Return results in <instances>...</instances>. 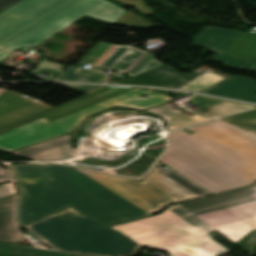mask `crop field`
I'll return each mask as SVG.
<instances>
[{
  "mask_svg": "<svg viewBox=\"0 0 256 256\" xmlns=\"http://www.w3.org/2000/svg\"><path fill=\"white\" fill-rule=\"evenodd\" d=\"M117 1L122 2L124 4L135 5V6H137L136 10H138L144 14H147V15L155 12L143 0H117Z\"/></svg>",
  "mask_w": 256,
  "mask_h": 256,
  "instance_id": "obj_22",
  "label": "crop field"
},
{
  "mask_svg": "<svg viewBox=\"0 0 256 256\" xmlns=\"http://www.w3.org/2000/svg\"><path fill=\"white\" fill-rule=\"evenodd\" d=\"M17 194L13 182L0 186V198Z\"/></svg>",
  "mask_w": 256,
  "mask_h": 256,
  "instance_id": "obj_24",
  "label": "crop field"
},
{
  "mask_svg": "<svg viewBox=\"0 0 256 256\" xmlns=\"http://www.w3.org/2000/svg\"><path fill=\"white\" fill-rule=\"evenodd\" d=\"M18 195L0 199V240L20 244L25 241L16 220Z\"/></svg>",
  "mask_w": 256,
  "mask_h": 256,
  "instance_id": "obj_14",
  "label": "crop field"
},
{
  "mask_svg": "<svg viewBox=\"0 0 256 256\" xmlns=\"http://www.w3.org/2000/svg\"><path fill=\"white\" fill-rule=\"evenodd\" d=\"M22 194L21 226L73 207L108 225L149 216L102 185L68 166H9Z\"/></svg>",
  "mask_w": 256,
  "mask_h": 256,
  "instance_id": "obj_3",
  "label": "crop field"
},
{
  "mask_svg": "<svg viewBox=\"0 0 256 256\" xmlns=\"http://www.w3.org/2000/svg\"><path fill=\"white\" fill-rule=\"evenodd\" d=\"M189 101L201 107L197 110H194V112L204 117L224 116L233 114L237 111L246 110L254 107L200 96H195L191 98Z\"/></svg>",
  "mask_w": 256,
  "mask_h": 256,
  "instance_id": "obj_16",
  "label": "crop field"
},
{
  "mask_svg": "<svg viewBox=\"0 0 256 256\" xmlns=\"http://www.w3.org/2000/svg\"><path fill=\"white\" fill-rule=\"evenodd\" d=\"M202 93L256 102V80L245 76H232Z\"/></svg>",
  "mask_w": 256,
  "mask_h": 256,
  "instance_id": "obj_13",
  "label": "crop field"
},
{
  "mask_svg": "<svg viewBox=\"0 0 256 256\" xmlns=\"http://www.w3.org/2000/svg\"><path fill=\"white\" fill-rule=\"evenodd\" d=\"M127 10L107 0H22L0 14V60L23 46L36 47L78 19L114 24Z\"/></svg>",
  "mask_w": 256,
  "mask_h": 256,
  "instance_id": "obj_4",
  "label": "crop field"
},
{
  "mask_svg": "<svg viewBox=\"0 0 256 256\" xmlns=\"http://www.w3.org/2000/svg\"><path fill=\"white\" fill-rule=\"evenodd\" d=\"M10 180V177L6 170L0 168V182Z\"/></svg>",
  "mask_w": 256,
  "mask_h": 256,
  "instance_id": "obj_26",
  "label": "crop field"
},
{
  "mask_svg": "<svg viewBox=\"0 0 256 256\" xmlns=\"http://www.w3.org/2000/svg\"><path fill=\"white\" fill-rule=\"evenodd\" d=\"M253 72H256V67H255V69L253 70Z\"/></svg>",
  "mask_w": 256,
  "mask_h": 256,
  "instance_id": "obj_27",
  "label": "crop field"
},
{
  "mask_svg": "<svg viewBox=\"0 0 256 256\" xmlns=\"http://www.w3.org/2000/svg\"><path fill=\"white\" fill-rule=\"evenodd\" d=\"M68 87L72 88L74 90L80 91L82 93L88 94V93H91L93 91L102 89V88L107 87V86L70 85Z\"/></svg>",
  "mask_w": 256,
  "mask_h": 256,
  "instance_id": "obj_23",
  "label": "crop field"
},
{
  "mask_svg": "<svg viewBox=\"0 0 256 256\" xmlns=\"http://www.w3.org/2000/svg\"><path fill=\"white\" fill-rule=\"evenodd\" d=\"M115 24L121 25V26H126V27H131V28H137V29H151V28L157 26V24H155L143 17H140L130 11H128Z\"/></svg>",
  "mask_w": 256,
  "mask_h": 256,
  "instance_id": "obj_19",
  "label": "crop field"
},
{
  "mask_svg": "<svg viewBox=\"0 0 256 256\" xmlns=\"http://www.w3.org/2000/svg\"><path fill=\"white\" fill-rule=\"evenodd\" d=\"M69 137L70 135L55 138L11 153L39 161H56L75 157V152L69 146Z\"/></svg>",
  "mask_w": 256,
  "mask_h": 256,
  "instance_id": "obj_11",
  "label": "crop field"
},
{
  "mask_svg": "<svg viewBox=\"0 0 256 256\" xmlns=\"http://www.w3.org/2000/svg\"><path fill=\"white\" fill-rule=\"evenodd\" d=\"M158 164L143 182L79 170L147 213L155 214L172 203L207 195L208 191L173 170Z\"/></svg>",
  "mask_w": 256,
  "mask_h": 256,
  "instance_id": "obj_5",
  "label": "crop field"
},
{
  "mask_svg": "<svg viewBox=\"0 0 256 256\" xmlns=\"http://www.w3.org/2000/svg\"><path fill=\"white\" fill-rule=\"evenodd\" d=\"M253 133H256V132H253Z\"/></svg>",
  "mask_w": 256,
  "mask_h": 256,
  "instance_id": "obj_29",
  "label": "crop field"
},
{
  "mask_svg": "<svg viewBox=\"0 0 256 256\" xmlns=\"http://www.w3.org/2000/svg\"><path fill=\"white\" fill-rule=\"evenodd\" d=\"M224 78L221 76H218L213 73H207L198 79L194 80L193 82L189 83L188 85L182 87L183 90H192V91H200L212 84H215Z\"/></svg>",
  "mask_w": 256,
  "mask_h": 256,
  "instance_id": "obj_21",
  "label": "crop field"
},
{
  "mask_svg": "<svg viewBox=\"0 0 256 256\" xmlns=\"http://www.w3.org/2000/svg\"><path fill=\"white\" fill-rule=\"evenodd\" d=\"M243 129L256 131V111L239 114L221 119Z\"/></svg>",
  "mask_w": 256,
  "mask_h": 256,
  "instance_id": "obj_20",
  "label": "crop field"
},
{
  "mask_svg": "<svg viewBox=\"0 0 256 256\" xmlns=\"http://www.w3.org/2000/svg\"><path fill=\"white\" fill-rule=\"evenodd\" d=\"M3 91V89H0V93Z\"/></svg>",
  "mask_w": 256,
  "mask_h": 256,
  "instance_id": "obj_28",
  "label": "crop field"
},
{
  "mask_svg": "<svg viewBox=\"0 0 256 256\" xmlns=\"http://www.w3.org/2000/svg\"><path fill=\"white\" fill-rule=\"evenodd\" d=\"M133 88H127V87H107L102 90L93 92L91 94H88L86 96H83L81 98L75 99L73 101H70L68 103H65L63 105L57 106L55 108H52L44 113H41L39 115L33 116L31 118L25 119L23 121L14 123L12 125L6 126L4 128L0 129V134L3 132H6L8 130L14 129L16 127H19L21 125L27 124L29 122H32L34 120L40 119L42 117H45L50 122L59 119L61 117L67 116L69 114H72L80 109H83L85 107L91 106L93 104L102 102L104 100L110 99L114 96H117L119 94H122L124 92H127Z\"/></svg>",
  "mask_w": 256,
  "mask_h": 256,
  "instance_id": "obj_9",
  "label": "crop field"
},
{
  "mask_svg": "<svg viewBox=\"0 0 256 256\" xmlns=\"http://www.w3.org/2000/svg\"><path fill=\"white\" fill-rule=\"evenodd\" d=\"M143 112H150V113H155L163 116L170 130L179 128L182 126L190 125L193 123L209 120L206 118L199 117L195 114L188 117L187 115L178 111L176 108L169 105L168 103L148 109Z\"/></svg>",
  "mask_w": 256,
  "mask_h": 256,
  "instance_id": "obj_17",
  "label": "crop field"
},
{
  "mask_svg": "<svg viewBox=\"0 0 256 256\" xmlns=\"http://www.w3.org/2000/svg\"><path fill=\"white\" fill-rule=\"evenodd\" d=\"M155 57L133 47L112 69L125 72L133 77L163 64L154 59Z\"/></svg>",
  "mask_w": 256,
  "mask_h": 256,
  "instance_id": "obj_15",
  "label": "crop field"
},
{
  "mask_svg": "<svg viewBox=\"0 0 256 256\" xmlns=\"http://www.w3.org/2000/svg\"><path fill=\"white\" fill-rule=\"evenodd\" d=\"M169 134L172 147L160 161L210 191L219 193L256 181V136L217 121Z\"/></svg>",
  "mask_w": 256,
  "mask_h": 256,
  "instance_id": "obj_2",
  "label": "crop field"
},
{
  "mask_svg": "<svg viewBox=\"0 0 256 256\" xmlns=\"http://www.w3.org/2000/svg\"><path fill=\"white\" fill-rule=\"evenodd\" d=\"M129 48L100 42L77 64L74 66L68 65L53 81L103 83L107 75L81 68L89 63L94 64L92 70L103 72Z\"/></svg>",
  "mask_w": 256,
  "mask_h": 256,
  "instance_id": "obj_8",
  "label": "crop field"
},
{
  "mask_svg": "<svg viewBox=\"0 0 256 256\" xmlns=\"http://www.w3.org/2000/svg\"><path fill=\"white\" fill-rule=\"evenodd\" d=\"M193 78L194 76L191 74L181 73L169 66L162 65L156 69L125 80L123 83L178 88Z\"/></svg>",
  "mask_w": 256,
  "mask_h": 256,
  "instance_id": "obj_12",
  "label": "crop field"
},
{
  "mask_svg": "<svg viewBox=\"0 0 256 256\" xmlns=\"http://www.w3.org/2000/svg\"><path fill=\"white\" fill-rule=\"evenodd\" d=\"M24 227L53 249L74 253L134 256L145 245L170 256H219L229 250L207 233L235 243L256 229V184L110 228L72 208Z\"/></svg>",
  "mask_w": 256,
  "mask_h": 256,
  "instance_id": "obj_1",
  "label": "crop field"
},
{
  "mask_svg": "<svg viewBox=\"0 0 256 256\" xmlns=\"http://www.w3.org/2000/svg\"><path fill=\"white\" fill-rule=\"evenodd\" d=\"M19 1L20 0H0V13Z\"/></svg>",
  "mask_w": 256,
  "mask_h": 256,
  "instance_id": "obj_25",
  "label": "crop field"
},
{
  "mask_svg": "<svg viewBox=\"0 0 256 256\" xmlns=\"http://www.w3.org/2000/svg\"><path fill=\"white\" fill-rule=\"evenodd\" d=\"M0 256H75L65 253L26 248L25 246L0 242Z\"/></svg>",
  "mask_w": 256,
  "mask_h": 256,
  "instance_id": "obj_18",
  "label": "crop field"
},
{
  "mask_svg": "<svg viewBox=\"0 0 256 256\" xmlns=\"http://www.w3.org/2000/svg\"><path fill=\"white\" fill-rule=\"evenodd\" d=\"M52 108L25 95L4 90L0 94V128Z\"/></svg>",
  "mask_w": 256,
  "mask_h": 256,
  "instance_id": "obj_10",
  "label": "crop field"
},
{
  "mask_svg": "<svg viewBox=\"0 0 256 256\" xmlns=\"http://www.w3.org/2000/svg\"><path fill=\"white\" fill-rule=\"evenodd\" d=\"M194 43L216 52L211 60L219 61L228 68L252 71L256 66V64L225 55L256 58L255 34L206 27L196 37Z\"/></svg>",
  "mask_w": 256,
  "mask_h": 256,
  "instance_id": "obj_7",
  "label": "crop field"
},
{
  "mask_svg": "<svg viewBox=\"0 0 256 256\" xmlns=\"http://www.w3.org/2000/svg\"><path fill=\"white\" fill-rule=\"evenodd\" d=\"M141 96H147L149 98L141 99ZM170 100H172L170 97L162 94L145 91L143 89H133L127 93L80 110L52 123L47 121L45 118H42L3 133L0 135V149L10 152L39 141L51 139L68 133L72 131L84 117L112 105H120L143 110Z\"/></svg>",
  "mask_w": 256,
  "mask_h": 256,
  "instance_id": "obj_6",
  "label": "crop field"
}]
</instances>
